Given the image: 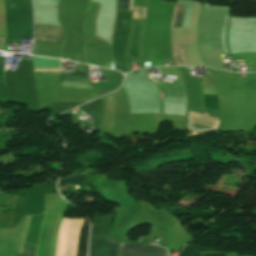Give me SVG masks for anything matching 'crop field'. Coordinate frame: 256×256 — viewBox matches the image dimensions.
I'll return each instance as SVG.
<instances>
[{"mask_svg": "<svg viewBox=\"0 0 256 256\" xmlns=\"http://www.w3.org/2000/svg\"><path fill=\"white\" fill-rule=\"evenodd\" d=\"M178 256H200V254L186 245Z\"/></svg>", "mask_w": 256, "mask_h": 256, "instance_id": "3316defc", "label": "crop field"}, {"mask_svg": "<svg viewBox=\"0 0 256 256\" xmlns=\"http://www.w3.org/2000/svg\"><path fill=\"white\" fill-rule=\"evenodd\" d=\"M171 48H172V58L175 65H187L181 44L173 45L171 46Z\"/></svg>", "mask_w": 256, "mask_h": 256, "instance_id": "dd49c442", "label": "crop field"}, {"mask_svg": "<svg viewBox=\"0 0 256 256\" xmlns=\"http://www.w3.org/2000/svg\"><path fill=\"white\" fill-rule=\"evenodd\" d=\"M15 254L16 256H34L35 251L25 247L23 254H18V253H15Z\"/></svg>", "mask_w": 256, "mask_h": 256, "instance_id": "d1516ede", "label": "crop field"}, {"mask_svg": "<svg viewBox=\"0 0 256 256\" xmlns=\"http://www.w3.org/2000/svg\"><path fill=\"white\" fill-rule=\"evenodd\" d=\"M119 241L107 236V217L95 216L91 228L89 256H115Z\"/></svg>", "mask_w": 256, "mask_h": 256, "instance_id": "8a807250", "label": "crop field"}, {"mask_svg": "<svg viewBox=\"0 0 256 256\" xmlns=\"http://www.w3.org/2000/svg\"><path fill=\"white\" fill-rule=\"evenodd\" d=\"M226 253L214 252V253H201L202 256H225Z\"/></svg>", "mask_w": 256, "mask_h": 256, "instance_id": "22f410ed", "label": "crop field"}, {"mask_svg": "<svg viewBox=\"0 0 256 256\" xmlns=\"http://www.w3.org/2000/svg\"><path fill=\"white\" fill-rule=\"evenodd\" d=\"M119 256H167V252L163 248L152 245L121 244Z\"/></svg>", "mask_w": 256, "mask_h": 256, "instance_id": "ac0d7876", "label": "crop field"}, {"mask_svg": "<svg viewBox=\"0 0 256 256\" xmlns=\"http://www.w3.org/2000/svg\"><path fill=\"white\" fill-rule=\"evenodd\" d=\"M88 230H89V223H88V220L86 219L79 236V248H78L77 256H86L87 254Z\"/></svg>", "mask_w": 256, "mask_h": 256, "instance_id": "412701ff", "label": "crop field"}, {"mask_svg": "<svg viewBox=\"0 0 256 256\" xmlns=\"http://www.w3.org/2000/svg\"><path fill=\"white\" fill-rule=\"evenodd\" d=\"M87 182L84 175L59 180V184H76Z\"/></svg>", "mask_w": 256, "mask_h": 256, "instance_id": "d8731c3e", "label": "crop field"}, {"mask_svg": "<svg viewBox=\"0 0 256 256\" xmlns=\"http://www.w3.org/2000/svg\"><path fill=\"white\" fill-rule=\"evenodd\" d=\"M35 36L63 40L62 27L35 25ZM35 37V41L61 45L62 41Z\"/></svg>", "mask_w": 256, "mask_h": 256, "instance_id": "34b2d1b8", "label": "crop field"}, {"mask_svg": "<svg viewBox=\"0 0 256 256\" xmlns=\"http://www.w3.org/2000/svg\"><path fill=\"white\" fill-rule=\"evenodd\" d=\"M60 80L90 82L88 76L62 74Z\"/></svg>", "mask_w": 256, "mask_h": 256, "instance_id": "e52e79f7", "label": "crop field"}, {"mask_svg": "<svg viewBox=\"0 0 256 256\" xmlns=\"http://www.w3.org/2000/svg\"><path fill=\"white\" fill-rule=\"evenodd\" d=\"M192 121L199 124L209 125L215 127L218 119H214L208 115L190 113Z\"/></svg>", "mask_w": 256, "mask_h": 256, "instance_id": "f4fd0767", "label": "crop field"}, {"mask_svg": "<svg viewBox=\"0 0 256 256\" xmlns=\"http://www.w3.org/2000/svg\"><path fill=\"white\" fill-rule=\"evenodd\" d=\"M175 9H176V7H175ZM183 9H184V7H177V9H176V14H175V12H174V14H175V20H174V18H173V20H174V25H173V22H172L173 27L180 28V26H181V20H182V15H183ZM171 27H172V26H171Z\"/></svg>", "mask_w": 256, "mask_h": 256, "instance_id": "5a996713", "label": "crop field"}, {"mask_svg": "<svg viewBox=\"0 0 256 256\" xmlns=\"http://www.w3.org/2000/svg\"><path fill=\"white\" fill-rule=\"evenodd\" d=\"M130 0H119V8L129 9ZM132 5V0L130 4V9Z\"/></svg>", "mask_w": 256, "mask_h": 256, "instance_id": "28ad6ade", "label": "crop field"}, {"mask_svg": "<svg viewBox=\"0 0 256 256\" xmlns=\"http://www.w3.org/2000/svg\"><path fill=\"white\" fill-rule=\"evenodd\" d=\"M76 74H84V75H88L87 73H82V72H76Z\"/></svg>", "mask_w": 256, "mask_h": 256, "instance_id": "cbeb9de0", "label": "crop field"}]
</instances>
